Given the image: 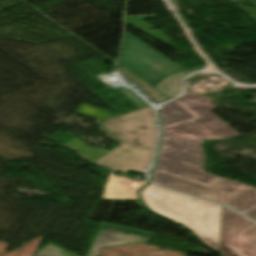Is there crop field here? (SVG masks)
<instances>
[{"instance_id": "crop-field-1", "label": "crop field", "mask_w": 256, "mask_h": 256, "mask_svg": "<svg viewBox=\"0 0 256 256\" xmlns=\"http://www.w3.org/2000/svg\"><path fill=\"white\" fill-rule=\"evenodd\" d=\"M164 135L153 182L210 200L256 220V188L202 172L204 139L239 135L211 113V99L185 91L163 105Z\"/></svg>"}, {"instance_id": "crop-field-2", "label": "crop field", "mask_w": 256, "mask_h": 256, "mask_svg": "<svg viewBox=\"0 0 256 256\" xmlns=\"http://www.w3.org/2000/svg\"><path fill=\"white\" fill-rule=\"evenodd\" d=\"M76 111L105 120L102 126L107 127L106 132L124 141L92 164L122 173L131 170L148 174L159 136L154 126L157 123L154 105L122 116L86 105Z\"/></svg>"}, {"instance_id": "crop-field-3", "label": "crop field", "mask_w": 256, "mask_h": 256, "mask_svg": "<svg viewBox=\"0 0 256 256\" xmlns=\"http://www.w3.org/2000/svg\"><path fill=\"white\" fill-rule=\"evenodd\" d=\"M139 193L150 210L187 227L203 244L218 253L221 206L152 183Z\"/></svg>"}, {"instance_id": "crop-field-4", "label": "crop field", "mask_w": 256, "mask_h": 256, "mask_svg": "<svg viewBox=\"0 0 256 256\" xmlns=\"http://www.w3.org/2000/svg\"><path fill=\"white\" fill-rule=\"evenodd\" d=\"M120 65L151 86L171 73L182 71L128 33L125 35Z\"/></svg>"}, {"instance_id": "crop-field-5", "label": "crop field", "mask_w": 256, "mask_h": 256, "mask_svg": "<svg viewBox=\"0 0 256 256\" xmlns=\"http://www.w3.org/2000/svg\"><path fill=\"white\" fill-rule=\"evenodd\" d=\"M219 254L256 256V223L223 207Z\"/></svg>"}, {"instance_id": "crop-field-6", "label": "crop field", "mask_w": 256, "mask_h": 256, "mask_svg": "<svg viewBox=\"0 0 256 256\" xmlns=\"http://www.w3.org/2000/svg\"><path fill=\"white\" fill-rule=\"evenodd\" d=\"M154 235L150 232L103 223L87 256H97L103 247L148 242Z\"/></svg>"}, {"instance_id": "crop-field-7", "label": "crop field", "mask_w": 256, "mask_h": 256, "mask_svg": "<svg viewBox=\"0 0 256 256\" xmlns=\"http://www.w3.org/2000/svg\"><path fill=\"white\" fill-rule=\"evenodd\" d=\"M111 173H109L101 200L139 199L137 191L142 188V182L113 177Z\"/></svg>"}, {"instance_id": "crop-field-8", "label": "crop field", "mask_w": 256, "mask_h": 256, "mask_svg": "<svg viewBox=\"0 0 256 256\" xmlns=\"http://www.w3.org/2000/svg\"><path fill=\"white\" fill-rule=\"evenodd\" d=\"M204 66L205 65H200L183 72L171 74L152 87H154L155 89L159 90L160 92H162L163 94L167 95L172 99L182 94L181 81L186 75H188V72Z\"/></svg>"}, {"instance_id": "crop-field-9", "label": "crop field", "mask_w": 256, "mask_h": 256, "mask_svg": "<svg viewBox=\"0 0 256 256\" xmlns=\"http://www.w3.org/2000/svg\"><path fill=\"white\" fill-rule=\"evenodd\" d=\"M63 146H65L66 148H68L71 151H76L77 155H79L80 157H82L83 159L88 161L89 163L93 162L94 160L98 159L99 157H101L102 155H104L108 152L103 149L90 147L78 139L72 140ZM78 149H81V150L85 151L86 153L82 154L78 151Z\"/></svg>"}, {"instance_id": "crop-field-10", "label": "crop field", "mask_w": 256, "mask_h": 256, "mask_svg": "<svg viewBox=\"0 0 256 256\" xmlns=\"http://www.w3.org/2000/svg\"><path fill=\"white\" fill-rule=\"evenodd\" d=\"M35 256H77L68 251L55 247L53 245H48L42 248Z\"/></svg>"}, {"instance_id": "crop-field-11", "label": "crop field", "mask_w": 256, "mask_h": 256, "mask_svg": "<svg viewBox=\"0 0 256 256\" xmlns=\"http://www.w3.org/2000/svg\"><path fill=\"white\" fill-rule=\"evenodd\" d=\"M149 181H145V182H143V186L145 185V184H147Z\"/></svg>"}]
</instances>
